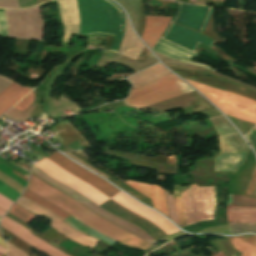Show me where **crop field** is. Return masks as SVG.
Returning a JSON list of instances; mask_svg holds the SVG:
<instances>
[{
	"mask_svg": "<svg viewBox=\"0 0 256 256\" xmlns=\"http://www.w3.org/2000/svg\"><path fill=\"white\" fill-rule=\"evenodd\" d=\"M27 189L56 205L86 226L119 241L128 247L145 250L152 246L135 235L91 212L75 199L39 180L33 174H31L30 183Z\"/></svg>",
	"mask_w": 256,
	"mask_h": 256,
	"instance_id": "1",
	"label": "crop field"
},
{
	"mask_svg": "<svg viewBox=\"0 0 256 256\" xmlns=\"http://www.w3.org/2000/svg\"><path fill=\"white\" fill-rule=\"evenodd\" d=\"M81 31L80 36L88 34L115 37L109 51L117 52L125 29L122 9L110 0H77Z\"/></svg>",
	"mask_w": 256,
	"mask_h": 256,
	"instance_id": "2",
	"label": "crop field"
},
{
	"mask_svg": "<svg viewBox=\"0 0 256 256\" xmlns=\"http://www.w3.org/2000/svg\"><path fill=\"white\" fill-rule=\"evenodd\" d=\"M191 91L193 89L170 74L158 81L132 90L130 96L123 102L126 105L141 108Z\"/></svg>",
	"mask_w": 256,
	"mask_h": 256,
	"instance_id": "3",
	"label": "crop field"
},
{
	"mask_svg": "<svg viewBox=\"0 0 256 256\" xmlns=\"http://www.w3.org/2000/svg\"><path fill=\"white\" fill-rule=\"evenodd\" d=\"M223 112L256 125V102L185 79Z\"/></svg>",
	"mask_w": 256,
	"mask_h": 256,
	"instance_id": "4",
	"label": "crop field"
},
{
	"mask_svg": "<svg viewBox=\"0 0 256 256\" xmlns=\"http://www.w3.org/2000/svg\"><path fill=\"white\" fill-rule=\"evenodd\" d=\"M38 168L43 170L49 176L71 186L72 188L76 189L80 193H82L87 198L94 201L96 204H101L104 201L110 199L89 184L81 181L80 179L74 177L73 175L69 174L56 164H54L49 159L45 158L38 163H35Z\"/></svg>",
	"mask_w": 256,
	"mask_h": 256,
	"instance_id": "5",
	"label": "crop field"
},
{
	"mask_svg": "<svg viewBox=\"0 0 256 256\" xmlns=\"http://www.w3.org/2000/svg\"><path fill=\"white\" fill-rule=\"evenodd\" d=\"M18 204H20L21 206L25 207L26 209H28L29 211L37 214V215H45L46 217H48L49 219L52 220L51 226L58 232H60L61 234H63L64 236L79 242L85 246H88L90 248H92L93 246H95L97 243H99V241L81 233L78 232L74 229H72L70 226H68L66 223H64L62 221L61 218L55 216L54 214L48 212L47 210L43 209L42 207H40L39 205L35 204L34 202L24 198V197H20L19 200L16 202Z\"/></svg>",
	"mask_w": 256,
	"mask_h": 256,
	"instance_id": "6",
	"label": "crop field"
},
{
	"mask_svg": "<svg viewBox=\"0 0 256 256\" xmlns=\"http://www.w3.org/2000/svg\"><path fill=\"white\" fill-rule=\"evenodd\" d=\"M50 160L55 162L57 165L68 171L69 173L75 175L76 177L80 178L81 180L89 183L108 197H113L117 193H119V190L102 180L101 178L95 176L90 171L78 166L77 164L70 161L68 158L64 157L63 155L57 153H54L50 155Z\"/></svg>",
	"mask_w": 256,
	"mask_h": 256,
	"instance_id": "7",
	"label": "crop field"
},
{
	"mask_svg": "<svg viewBox=\"0 0 256 256\" xmlns=\"http://www.w3.org/2000/svg\"><path fill=\"white\" fill-rule=\"evenodd\" d=\"M213 9L178 3L172 22L193 28L202 33Z\"/></svg>",
	"mask_w": 256,
	"mask_h": 256,
	"instance_id": "8",
	"label": "crop field"
},
{
	"mask_svg": "<svg viewBox=\"0 0 256 256\" xmlns=\"http://www.w3.org/2000/svg\"><path fill=\"white\" fill-rule=\"evenodd\" d=\"M191 204L194 223L213 219L214 187L197 188V185H191Z\"/></svg>",
	"mask_w": 256,
	"mask_h": 256,
	"instance_id": "9",
	"label": "crop field"
},
{
	"mask_svg": "<svg viewBox=\"0 0 256 256\" xmlns=\"http://www.w3.org/2000/svg\"><path fill=\"white\" fill-rule=\"evenodd\" d=\"M162 38L196 51L200 44L212 47L216 42L182 26L170 23Z\"/></svg>",
	"mask_w": 256,
	"mask_h": 256,
	"instance_id": "10",
	"label": "crop field"
},
{
	"mask_svg": "<svg viewBox=\"0 0 256 256\" xmlns=\"http://www.w3.org/2000/svg\"><path fill=\"white\" fill-rule=\"evenodd\" d=\"M102 208L106 209L107 211L131 222L132 224L136 225L137 227L146 231L149 235H151L157 241L167 234L164 233L160 228L156 225L148 221L147 219L121 207L113 200H108L105 203L100 205Z\"/></svg>",
	"mask_w": 256,
	"mask_h": 256,
	"instance_id": "11",
	"label": "crop field"
},
{
	"mask_svg": "<svg viewBox=\"0 0 256 256\" xmlns=\"http://www.w3.org/2000/svg\"><path fill=\"white\" fill-rule=\"evenodd\" d=\"M111 199L116 201L121 206L149 219L167 234L179 231L176 227L170 224L163 216L142 206L141 204H139L138 202H136L135 200L121 192Z\"/></svg>",
	"mask_w": 256,
	"mask_h": 256,
	"instance_id": "12",
	"label": "crop field"
},
{
	"mask_svg": "<svg viewBox=\"0 0 256 256\" xmlns=\"http://www.w3.org/2000/svg\"><path fill=\"white\" fill-rule=\"evenodd\" d=\"M0 225L6 228L7 230H9L10 232H12L13 234H15L17 237H19L23 241L47 253L48 256H69L63 253L62 251L48 245L43 240L39 239L38 237L30 233L22 225L16 223L15 221L11 220L6 216L1 219Z\"/></svg>",
	"mask_w": 256,
	"mask_h": 256,
	"instance_id": "13",
	"label": "crop field"
},
{
	"mask_svg": "<svg viewBox=\"0 0 256 256\" xmlns=\"http://www.w3.org/2000/svg\"><path fill=\"white\" fill-rule=\"evenodd\" d=\"M153 51L160 53L162 55H165L174 60L180 61V62H184V63H188V64H192V65H196V66H199L202 68H207V69L216 71L210 67L183 60V58L191 60L193 57H195L197 55V53L189 51V50L182 48L176 44L166 41L162 38H160L159 42L153 48Z\"/></svg>",
	"mask_w": 256,
	"mask_h": 256,
	"instance_id": "14",
	"label": "crop field"
},
{
	"mask_svg": "<svg viewBox=\"0 0 256 256\" xmlns=\"http://www.w3.org/2000/svg\"><path fill=\"white\" fill-rule=\"evenodd\" d=\"M125 183L150 198L153 203V207L169 217L165 202L164 190L161 187L157 185H146L131 181H127Z\"/></svg>",
	"mask_w": 256,
	"mask_h": 256,
	"instance_id": "15",
	"label": "crop field"
},
{
	"mask_svg": "<svg viewBox=\"0 0 256 256\" xmlns=\"http://www.w3.org/2000/svg\"><path fill=\"white\" fill-rule=\"evenodd\" d=\"M170 20L171 18L167 17L146 16V24L142 38L151 49L163 33Z\"/></svg>",
	"mask_w": 256,
	"mask_h": 256,
	"instance_id": "16",
	"label": "crop field"
},
{
	"mask_svg": "<svg viewBox=\"0 0 256 256\" xmlns=\"http://www.w3.org/2000/svg\"><path fill=\"white\" fill-rule=\"evenodd\" d=\"M32 89L33 88L30 87H22L14 82L10 84L0 93V115L17 103Z\"/></svg>",
	"mask_w": 256,
	"mask_h": 256,
	"instance_id": "17",
	"label": "crop field"
},
{
	"mask_svg": "<svg viewBox=\"0 0 256 256\" xmlns=\"http://www.w3.org/2000/svg\"><path fill=\"white\" fill-rule=\"evenodd\" d=\"M144 47L145 46L142 44V42L136 37V35L131 30L126 19L125 34L123 36L118 54H122L137 60Z\"/></svg>",
	"mask_w": 256,
	"mask_h": 256,
	"instance_id": "18",
	"label": "crop field"
},
{
	"mask_svg": "<svg viewBox=\"0 0 256 256\" xmlns=\"http://www.w3.org/2000/svg\"><path fill=\"white\" fill-rule=\"evenodd\" d=\"M202 97L198 95L195 91L185 94L183 96L173 98L161 103H157L148 107H144L143 109H149L153 108L155 110L165 112L173 109H178V108H184L188 107L191 105H195L193 101L201 99Z\"/></svg>",
	"mask_w": 256,
	"mask_h": 256,
	"instance_id": "19",
	"label": "crop field"
},
{
	"mask_svg": "<svg viewBox=\"0 0 256 256\" xmlns=\"http://www.w3.org/2000/svg\"><path fill=\"white\" fill-rule=\"evenodd\" d=\"M170 73L160 63L132 76L127 80L133 85V88H137L141 85L154 81L166 74Z\"/></svg>",
	"mask_w": 256,
	"mask_h": 256,
	"instance_id": "20",
	"label": "crop field"
},
{
	"mask_svg": "<svg viewBox=\"0 0 256 256\" xmlns=\"http://www.w3.org/2000/svg\"><path fill=\"white\" fill-rule=\"evenodd\" d=\"M229 224L256 223V208L228 207Z\"/></svg>",
	"mask_w": 256,
	"mask_h": 256,
	"instance_id": "21",
	"label": "crop field"
},
{
	"mask_svg": "<svg viewBox=\"0 0 256 256\" xmlns=\"http://www.w3.org/2000/svg\"><path fill=\"white\" fill-rule=\"evenodd\" d=\"M229 241L236 250L242 253L241 256H256V236L243 235L229 238Z\"/></svg>",
	"mask_w": 256,
	"mask_h": 256,
	"instance_id": "22",
	"label": "crop field"
},
{
	"mask_svg": "<svg viewBox=\"0 0 256 256\" xmlns=\"http://www.w3.org/2000/svg\"><path fill=\"white\" fill-rule=\"evenodd\" d=\"M22 196H24V197L34 201L35 203L39 204L43 208L47 209L48 211L56 214L57 216H59V217H61L63 219H66V218L70 217V215H68L67 213L63 212L62 210H60L56 206L52 205L48 201L44 200L43 198L37 196L36 194L32 193L31 191H29L27 189L23 193Z\"/></svg>",
	"mask_w": 256,
	"mask_h": 256,
	"instance_id": "23",
	"label": "crop field"
},
{
	"mask_svg": "<svg viewBox=\"0 0 256 256\" xmlns=\"http://www.w3.org/2000/svg\"><path fill=\"white\" fill-rule=\"evenodd\" d=\"M228 206L256 207V200L229 195Z\"/></svg>",
	"mask_w": 256,
	"mask_h": 256,
	"instance_id": "24",
	"label": "crop field"
},
{
	"mask_svg": "<svg viewBox=\"0 0 256 256\" xmlns=\"http://www.w3.org/2000/svg\"><path fill=\"white\" fill-rule=\"evenodd\" d=\"M9 213L17 216L18 218H20L21 220H23L26 223L36 217L34 214L30 213L29 211L25 210L24 208L20 207L17 204H14L12 206Z\"/></svg>",
	"mask_w": 256,
	"mask_h": 256,
	"instance_id": "25",
	"label": "crop field"
},
{
	"mask_svg": "<svg viewBox=\"0 0 256 256\" xmlns=\"http://www.w3.org/2000/svg\"><path fill=\"white\" fill-rule=\"evenodd\" d=\"M181 198H182V204H183L187 224L188 225L192 224L193 220H192V212H191V204H190V190L181 194Z\"/></svg>",
	"mask_w": 256,
	"mask_h": 256,
	"instance_id": "26",
	"label": "crop field"
},
{
	"mask_svg": "<svg viewBox=\"0 0 256 256\" xmlns=\"http://www.w3.org/2000/svg\"><path fill=\"white\" fill-rule=\"evenodd\" d=\"M231 234L256 232V224L229 225Z\"/></svg>",
	"mask_w": 256,
	"mask_h": 256,
	"instance_id": "27",
	"label": "crop field"
},
{
	"mask_svg": "<svg viewBox=\"0 0 256 256\" xmlns=\"http://www.w3.org/2000/svg\"><path fill=\"white\" fill-rule=\"evenodd\" d=\"M173 196H174V201L176 205L180 227L185 226L186 223H185L184 213H183L182 204H181L180 192H174Z\"/></svg>",
	"mask_w": 256,
	"mask_h": 256,
	"instance_id": "28",
	"label": "crop field"
},
{
	"mask_svg": "<svg viewBox=\"0 0 256 256\" xmlns=\"http://www.w3.org/2000/svg\"><path fill=\"white\" fill-rule=\"evenodd\" d=\"M215 243L218 245L225 256H238L227 239L215 240Z\"/></svg>",
	"mask_w": 256,
	"mask_h": 256,
	"instance_id": "29",
	"label": "crop field"
},
{
	"mask_svg": "<svg viewBox=\"0 0 256 256\" xmlns=\"http://www.w3.org/2000/svg\"><path fill=\"white\" fill-rule=\"evenodd\" d=\"M165 194H166V201H167V205H168V209H169V213H170V219L178 224V219H177L176 210H175L172 195H169L168 190L165 191Z\"/></svg>",
	"mask_w": 256,
	"mask_h": 256,
	"instance_id": "30",
	"label": "crop field"
},
{
	"mask_svg": "<svg viewBox=\"0 0 256 256\" xmlns=\"http://www.w3.org/2000/svg\"><path fill=\"white\" fill-rule=\"evenodd\" d=\"M33 99H34V92L32 91L24 99H22L18 104H16L15 107L24 111L29 105H31Z\"/></svg>",
	"mask_w": 256,
	"mask_h": 256,
	"instance_id": "31",
	"label": "crop field"
},
{
	"mask_svg": "<svg viewBox=\"0 0 256 256\" xmlns=\"http://www.w3.org/2000/svg\"><path fill=\"white\" fill-rule=\"evenodd\" d=\"M6 243L8 246V256H28L27 254L19 250L17 247L10 244L9 242L6 241Z\"/></svg>",
	"mask_w": 256,
	"mask_h": 256,
	"instance_id": "32",
	"label": "crop field"
},
{
	"mask_svg": "<svg viewBox=\"0 0 256 256\" xmlns=\"http://www.w3.org/2000/svg\"><path fill=\"white\" fill-rule=\"evenodd\" d=\"M0 35L7 37V21L4 12H0Z\"/></svg>",
	"mask_w": 256,
	"mask_h": 256,
	"instance_id": "33",
	"label": "crop field"
},
{
	"mask_svg": "<svg viewBox=\"0 0 256 256\" xmlns=\"http://www.w3.org/2000/svg\"><path fill=\"white\" fill-rule=\"evenodd\" d=\"M164 63H165V64H167V65H170V66L176 67V68L184 69V70L197 71V70H193V69H189V68L177 67V66H174V65L169 64V63H166V62H164ZM197 72H201V71H197ZM201 73H204V74H207V75H210V76H213V77H216V78H219V79L225 80V81H227V82H229V83H232V84H235V85H237V86H240V87H243V88H245V89H248V90H251V91L256 92L255 90H252V89H250V88L244 87V86H242V85H239V84H237V83L231 82V81H229V80H226V79L220 78V77H218V76H215V75H212V74H209V73H205V72H201Z\"/></svg>",
	"mask_w": 256,
	"mask_h": 256,
	"instance_id": "34",
	"label": "crop field"
},
{
	"mask_svg": "<svg viewBox=\"0 0 256 256\" xmlns=\"http://www.w3.org/2000/svg\"><path fill=\"white\" fill-rule=\"evenodd\" d=\"M12 201V200H11ZM10 200H8L7 198H5L4 196H2L0 194V208H2L3 210H5L7 212V210L9 209V207L11 206V204L13 202H11Z\"/></svg>",
	"mask_w": 256,
	"mask_h": 256,
	"instance_id": "35",
	"label": "crop field"
},
{
	"mask_svg": "<svg viewBox=\"0 0 256 256\" xmlns=\"http://www.w3.org/2000/svg\"><path fill=\"white\" fill-rule=\"evenodd\" d=\"M10 83H11V81L0 77V92H1L3 89H5Z\"/></svg>",
	"mask_w": 256,
	"mask_h": 256,
	"instance_id": "36",
	"label": "crop field"
},
{
	"mask_svg": "<svg viewBox=\"0 0 256 256\" xmlns=\"http://www.w3.org/2000/svg\"><path fill=\"white\" fill-rule=\"evenodd\" d=\"M167 164H177L175 156H169Z\"/></svg>",
	"mask_w": 256,
	"mask_h": 256,
	"instance_id": "37",
	"label": "crop field"
},
{
	"mask_svg": "<svg viewBox=\"0 0 256 256\" xmlns=\"http://www.w3.org/2000/svg\"><path fill=\"white\" fill-rule=\"evenodd\" d=\"M5 252H6V249L3 248L2 246H0V255L3 256L5 254Z\"/></svg>",
	"mask_w": 256,
	"mask_h": 256,
	"instance_id": "38",
	"label": "crop field"
},
{
	"mask_svg": "<svg viewBox=\"0 0 256 256\" xmlns=\"http://www.w3.org/2000/svg\"><path fill=\"white\" fill-rule=\"evenodd\" d=\"M13 172H15L17 175H19L21 178H23L25 181H28L26 178H24L22 175H20L19 173H17L16 171L13 170ZM14 173V174H15Z\"/></svg>",
	"mask_w": 256,
	"mask_h": 256,
	"instance_id": "39",
	"label": "crop field"
},
{
	"mask_svg": "<svg viewBox=\"0 0 256 256\" xmlns=\"http://www.w3.org/2000/svg\"><path fill=\"white\" fill-rule=\"evenodd\" d=\"M0 244L3 246V247H5L6 248V246H5V244H4V242H3V240H2V238L0 237Z\"/></svg>",
	"mask_w": 256,
	"mask_h": 256,
	"instance_id": "40",
	"label": "crop field"
},
{
	"mask_svg": "<svg viewBox=\"0 0 256 256\" xmlns=\"http://www.w3.org/2000/svg\"><path fill=\"white\" fill-rule=\"evenodd\" d=\"M5 214H6V212H4V211H2V210L0 209V217L4 216Z\"/></svg>",
	"mask_w": 256,
	"mask_h": 256,
	"instance_id": "41",
	"label": "crop field"
},
{
	"mask_svg": "<svg viewBox=\"0 0 256 256\" xmlns=\"http://www.w3.org/2000/svg\"><path fill=\"white\" fill-rule=\"evenodd\" d=\"M215 256H224L221 251L219 253H217Z\"/></svg>",
	"mask_w": 256,
	"mask_h": 256,
	"instance_id": "42",
	"label": "crop field"
}]
</instances>
